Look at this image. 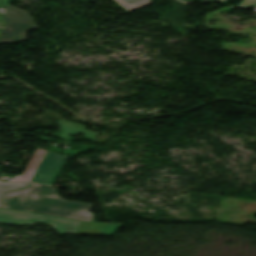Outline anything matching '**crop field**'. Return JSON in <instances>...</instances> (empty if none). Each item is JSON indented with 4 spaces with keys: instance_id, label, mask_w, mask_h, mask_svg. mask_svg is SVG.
<instances>
[{
    "instance_id": "obj_1",
    "label": "crop field",
    "mask_w": 256,
    "mask_h": 256,
    "mask_svg": "<svg viewBox=\"0 0 256 256\" xmlns=\"http://www.w3.org/2000/svg\"><path fill=\"white\" fill-rule=\"evenodd\" d=\"M1 207L87 222L93 219L89 214L91 205L64 201L57 195L54 187L47 185L32 184L26 189L9 192Z\"/></svg>"
},
{
    "instance_id": "obj_2",
    "label": "crop field",
    "mask_w": 256,
    "mask_h": 256,
    "mask_svg": "<svg viewBox=\"0 0 256 256\" xmlns=\"http://www.w3.org/2000/svg\"><path fill=\"white\" fill-rule=\"evenodd\" d=\"M51 224L60 234H78L81 221L0 208V223L33 225Z\"/></svg>"
},
{
    "instance_id": "obj_3",
    "label": "crop field",
    "mask_w": 256,
    "mask_h": 256,
    "mask_svg": "<svg viewBox=\"0 0 256 256\" xmlns=\"http://www.w3.org/2000/svg\"><path fill=\"white\" fill-rule=\"evenodd\" d=\"M67 158V156L48 151L33 178V182L53 185Z\"/></svg>"
},
{
    "instance_id": "obj_4",
    "label": "crop field",
    "mask_w": 256,
    "mask_h": 256,
    "mask_svg": "<svg viewBox=\"0 0 256 256\" xmlns=\"http://www.w3.org/2000/svg\"><path fill=\"white\" fill-rule=\"evenodd\" d=\"M38 29L30 26L6 24L0 34V44L16 43L27 41L25 31Z\"/></svg>"
},
{
    "instance_id": "obj_5",
    "label": "crop field",
    "mask_w": 256,
    "mask_h": 256,
    "mask_svg": "<svg viewBox=\"0 0 256 256\" xmlns=\"http://www.w3.org/2000/svg\"><path fill=\"white\" fill-rule=\"evenodd\" d=\"M0 14L4 17L5 23L36 26L29 14L22 13L10 6L0 8Z\"/></svg>"
},
{
    "instance_id": "obj_6",
    "label": "crop field",
    "mask_w": 256,
    "mask_h": 256,
    "mask_svg": "<svg viewBox=\"0 0 256 256\" xmlns=\"http://www.w3.org/2000/svg\"><path fill=\"white\" fill-rule=\"evenodd\" d=\"M122 224L81 223L79 234L112 235Z\"/></svg>"
},
{
    "instance_id": "obj_7",
    "label": "crop field",
    "mask_w": 256,
    "mask_h": 256,
    "mask_svg": "<svg viewBox=\"0 0 256 256\" xmlns=\"http://www.w3.org/2000/svg\"><path fill=\"white\" fill-rule=\"evenodd\" d=\"M46 153V150H42L37 148L35 153L33 154L32 158L30 159L25 172L21 176H15L14 179L10 181H16V182H24V181H31V178L36 171L37 167L39 166L44 154Z\"/></svg>"
},
{
    "instance_id": "obj_8",
    "label": "crop field",
    "mask_w": 256,
    "mask_h": 256,
    "mask_svg": "<svg viewBox=\"0 0 256 256\" xmlns=\"http://www.w3.org/2000/svg\"><path fill=\"white\" fill-rule=\"evenodd\" d=\"M57 123L63 126L61 132H65L72 135H77L81 133V134H84V139H88L92 141L94 140L95 133L84 130L85 126L78 125L65 120L57 121Z\"/></svg>"
},
{
    "instance_id": "obj_9",
    "label": "crop field",
    "mask_w": 256,
    "mask_h": 256,
    "mask_svg": "<svg viewBox=\"0 0 256 256\" xmlns=\"http://www.w3.org/2000/svg\"><path fill=\"white\" fill-rule=\"evenodd\" d=\"M128 12L153 4L150 0H115Z\"/></svg>"
},
{
    "instance_id": "obj_10",
    "label": "crop field",
    "mask_w": 256,
    "mask_h": 256,
    "mask_svg": "<svg viewBox=\"0 0 256 256\" xmlns=\"http://www.w3.org/2000/svg\"><path fill=\"white\" fill-rule=\"evenodd\" d=\"M27 185H30V184L29 183L27 184L26 183H0V204L6 191L20 189Z\"/></svg>"
},
{
    "instance_id": "obj_11",
    "label": "crop field",
    "mask_w": 256,
    "mask_h": 256,
    "mask_svg": "<svg viewBox=\"0 0 256 256\" xmlns=\"http://www.w3.org/2000/svg\"><path fill=\"white\" fill-rule=\"evenodd\" d=\"M239 6L255 8L256 0H243Z\"/></svg>"
},
{
    "instance_id": "obj_12",
    "label": "crop field",
    "mask_w": 256,
    "mask_h": 256,
    "mask_svg": "<svg viewBox=\"0 0 256 256\" xmlns=\"http://www.w3.org/2000/svg\"><path fill=\"white\" fill-rule=\"evenodd\" d=\"M188 1H195V2H219V1H228V0H188Z\"/></svg>"
},
{
    "instance_id": "obj_13",
    "label": "crop field",
    "mask_w": 256,
    "mask_h": 256,
    "mask_svg": "<svg viewBox=\"0 0 256 256\" xmlns=\"http://www.w3.org/2000/svg\"><path fill=\"white\" fill-rule=\"evenodd\" d=\"M8 0H0V6L7 4Z\"/></svg>"
},
{
    "instance_id": "obj_14",
    "label": "crop field",
    "mask_w": 256,
    "mask_h": 256,
    "mask_svg": "<svg viewBox=\"0 0 256 256\" xmlns=\"http://www.w3.org/2000/svg\"><path fill=\"white\" fill-rule=\"evenodd\" d=\"M2 26H3V24H0V29H1Z\"/></svg>"
},
{
    "instance_id": "obj_15",
    "label": "crop field",
    "mask_w": 256,
    "mask_h": 256,
    "mask_svg": "<svg viewBox=\"0 0 256 256\" xmlns=\"http://www.w3.org/2000/svg\"><path fill=\"white\" fill-rule=\"evenodd\" d=\"M0 23H3L1 19H0Z\"/></svg>"
}]
</instances>
